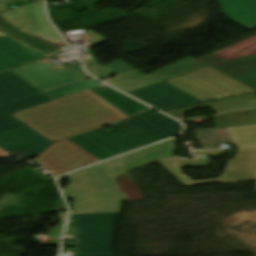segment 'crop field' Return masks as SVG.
Instances as JSON below:
<instances>
[{"label":"crop field","mask_w":256,"mask_h":256,"mask_svg":"<svg viewBox=\"0 0 256 256\" xmlns=\"http://www.w3.org/2000/svg\"><path fill=\"white\" fill-rule=\"evenodd\" d=\"M12 115L53 142L130 118L89 90Z\"/></svg>","instance_id":"8a807250"},{"label":"crop field","mask_w":256,"mask_h":256,"mask_svg":"<svg viewBox=\"0 0 256 256\" xmlns=\"http://www.w3.org/2000/svg\"><path fill=\"white\" fill-rule=\"evenodd\" d=\"M204 67L207 66L187 57L147 76L130 67L106 83L166 111L202 103L163 81Z\"/></svg>","instance_id":"ac0d7876"},{"label":"crop field","mask_w":256,"mask_h":256,"mask_svg":"<svg viewBox=\"0 0 256 256\" xmlns=\"http://www.w3.org/2000/svg\"><path fill=\"white\" fill-rule=\"evenodd\" d=\"M69 179L62 191L74 200L70 215L120 212L124 198L102 163L71 173Z\"/></svg>","instance_id":"34b2d1b8"},{"label":"crop field","mask_w":256,"mask_h":256,"mask_svg":"<svg viewBox=\"0 0 256 256\" xmlns=\"http://www.w3.org/2000/svg\"><path fill=\"white\" fill-rule=\"evenodd\" d=\"M0 30L48 55L66 46L46 20L42 0L0 13Z\"/></svg>","instance_id":"412701ff"},{"label":"crop field","mask_w":256,"mask_h":256,"mask_svg":"<svg viewBox=\"0 0 256 256\" xmlns=\"http://www.w3.org/2000/svg\"><path fill=\"white\" fill-rule=\"evenodd\" d=\"M119 215L70 216L65 236L78 239L76 253L112 252Z\"/></svg>","instance_id":"f4fd0767"},{"label":"crop field","mask_w":256,"mask_h":256,"mask_svg":"<svg viewBox=\"0 0 256 256\" xmlns=\"http://www.w3.org/2000/svg\"><path fill=\"white\" fill-rule=\"evenodd\" d=\"M166 83L200 99L216 100L243 95L255 90L207 67L168 81ZM205 102V101H204Z\"/></svg>","instance_id":"dd49c442"},{"label":"crop field","mask_w":256,"mask_h":256,"mask_svg":"<svg viewBox=\"0 0 256 256\" xmlns=\"http://www.w3.org/2000/svg\"><path fill=\"white\" fill-rule=\"evenodd\" d=\"M49 59L52 58L11 71L42 92L90 78L66 64L57 66L47 61Z\"/></svg>","instance_id":"e52e79f7"},{"label":"crop field","mask_w":256,"mask_h":256,"mask_svg":"<svg viewBox=\"0 0 256 256\" xmlns=\"http://www.w3.org/2000/svg\"><path fill=\"white\" fill-rule=\"evenodd\" d=\"M52 176L100 161L68 139L53 143L36 159Z\"/></svg>","instance_id":"d8731c3e"},{"label":"crop field","mask_w":256,"mask_h":256,"mask_svg":"<svg viewBox=\"0 0 256 256\" xmlns=\"http://www.w3.org/2000/svg\"><path fill=\"white\" fill-rule=\"evenodd\" d=\"M121 124L148 144L172 137L182 130L179 122L153 110L123 121Z\"/></svg>","instance_id":"5a996713"},{"label":"crop field","mask_w":256,"mask_h":256,"mask_svg":"<svg viewBox=\"0 0 256 256\" xmlns=\"http://www.w3.org/2000/svg\"><path fill=\"white\" fill-rule=\"evenodd\" d=\"M175 138L105 162L112 177L173 157Z\"/></svg>","instance_id":"3316defc"},{"label":"crop field","mask_w":256,"mask_h":256,"mask_svg":"<svg viewBox=\"0 0 256 256\" xmlns=\"http://www.w3.org/2000/svg\"><path fill=\"white\" fill-rule=\"evenodd\" d=\"M52 143L27 126L0 134V147L21 160L40 155Z\"/></svg>","instance_id":"28ad6ade"},{"label":"crop field","mask_w":256,"mask_h":256,"mask_svg":"<svg viewBox=\"0 0 256 256\" xmlns=\"http://www.w3.org/2000/svg\"><path fill=\"white\" fill-rule=\"evenodd\" d=\"M47 57L9 37L0 38V72Z\"/></svg>","instance_id":"d1516ede"},{"label":"crop field","mask_w":256,"mask_h":256,"mask_svg":"<svg viewBox=\"0 0 256 256\" xmlns=\"http://www.w3.org/2000/svg\"><path fill=\"white\" fill-rule=\"evenodd\" d=\"M195 153L199 154V155H204L205 158L181 161L177 156H175L173 158L160 161L158 163L160 165H162L168 172H170L175 178H177L181 183H183L186 186L222 182V180H223V178L233 160L232 158H229V160L219 178L193 181L190 178H188L182 174L181 169L184 167H187V166L207 167V154L223 153V151H208V152H195Z\"/></svg>","instance_id":"22f410ed"},{"label":"crop field","mask_w":256,"mask_h":256,"mask_svg":"<svg viewBox=\"0 0 256 256\" xmlns=\"http://www.w3.org/2000/svg\"><path fill=\"white\" fill-rule=\"evenodd\" d=\"M85 135L114 156L147 145L133 135H116L105 130L104 128L85 133Z\"/></svg>","instance_id":"cbeb9de0"},{"label":"crop field","mask_w":256,"mask_h":256,"mask_svg":"<svg viewBox=\"0 0 256 256\" xmlns=\"http://www.w3.org/2000/svg\"><path fill=\"white\" fill-rule=\"evenodd\" d=\"M87 35L89 39L82 40V42H85L86 46L85 49L88 53V55L79 56L87 70L95 77L101 79L104 78L110 74H113L115 72L119 73L129 67L127 64L122 62L121 60L115 61L109 65L101 67L98 62L93 57L90 47L95 46L97 44H100L102 42L107 41L106 39L102 38L101 36L95 34L92 31H86L85 34L77 35L78 37Z\"/></svg>","instance_id":"5142ce71"},{"label":"crop field","mask_w":256,"mask_h":256,"mask_svg":"<svg viewBox=\"0 0 256 256\" xmlns=\"http://www.w3.org/2000/svg\"><path fill=\"white\" fill-rule=\"evenodd\" d=\"M200 108H211L217 113L239 109H251L256 108V97L254 96V94L244 95L234 98L223 99L215 102H210L206 104L191 106L187 108L172 110L165 113L176 119H180L186 117V112Z\"/></svg>","instance_id":"d9b57169"},{"label":"crop field","mask_w":256,"mask_h":256,"mask_svg":"<svg viewBox=\"0 0 256 256\" xmlns=\"http://www.w3.org/2000/svg\"><path fill=\"white\" fill-rule=\"evenodd\" d=\"M229 19L250 30L256 27V0H219Z\"/></svg>","instance_id":"733c2abd"},{"label":"crop field","mask_w":256,"mask_h":256,"mask_svg":"<svg viewBox=\"0 0 256 256\" xmlns=\"http://www.w3.org/2000/svg\"><path fill=\"white\" fill-rule=\"evenodd\" d=\"M40 93L39 90L8 71L0 74V105Z\"/></svg>","instance_id":"4a817a6b"},{"label":"crop field","mask_w":256,"mask_h":256,"mask_svg":"<svg viewBox=\"0 0 256 256\" xmlns=\"http://www.w3.org/2000/svg\"><path fill=\"white\" fill-rule=\"evenodd\" d=\"M51 101L50 98L40 93L22 100H18L3 106H0V133L8 131L20 126H24L23 123L18 121L10 114Z\"/></svg>","instance_id":"bc2a9ffb"},{"label":"crop field","mask_w":256,"mask_h":256,"mask_svg":"<svg viewBox=\"0 0 256 256\" xmlns=\"http://www.w3.org/2000/svg\"><path fill=\"white\" fill-rule=\"evenodd\" d=\"M90 90L128 116L149 109V107L115 91L106 85L99 86Z\"/></svg>","instance_id":"214f88e0"},{"label":"crop field","mask_w":256,"mask_h":256,"mask_svg":"<svg viewBox=\"0 0 256 256\" xmlns=\"http://www.w3.org/2000/svg\"><path fill=\"white\" fill-rule=\"evenodd\" d=\"M256 53V36L252 37L246 41H243L239 44H236L232 47H229L223 51H220L216 54H213L211 56H208L204 59H201L199 61L205 62L209 61L212 62L208 64L209 66L213 67L218 64L231 61L237 58H241L250 54Z\"/></svg>","instance_id":"92a150f3"},{"label":"crop field","mask_w":256,"mask_h":256,"mask_svg":"<svg viewBox=\"0 0 256 256\" xmlns=\"http://www.w3.org/2000/svg\"><path fill=\"white\" fill-rule=\"evenodd\" d=\"M219 128L256 124V109L213 115Z\"/></svg>","instance_id":"dafd665d"},{"label":"crop field","mask_w":256,"mask_h":256,"mask_svg":"<svg viewBox=\"0 0 256 256\" xmlns=\"http://www.w3.org/2000/svg\"><path fill=\"white\" fill-rule=\"evenodd\" d=\"M232 77L256 69V54L213 67Z\"/></svg>","instance_id":"00972430"},{"label":"crop field","mask_w":256,"mask_h":256,"mask_svg":"<svg viewBox=\"0 0 256 256\" xmlns=\"http://www.w3.org/2000/svg\"><path fill=\"white\" fill-rule=\"evenodd\" d=\"M237 147L256 146V125L228 128Z\"/></svg>","instance_id":"a9b5d70f"},{"label":"crop field","mask_w":256,"mask_h":256,"mask_svg":"<svg viewBox=\"0 0 256 256\" xmlns=\"http://www.w3.org/2000/svg\"><path fill=\"white\" fill-rule=\"evenodd\" d=\"M97 80L90 78L88 80H84L81 82H77L65 87H61L55 90H52L50 92L45 93L47 96L51 97L52 99L56 100L61 97L77 93L83 90H87L96 86H99L100 84L96 83Z\"/></svg>","instance_id":"4177f3b9"},{"label":"crop field","mask_w":256,"mask_h":256,"mask_svg":"<svg viewBox=\"0 0 256 256\" xmlns=\"http://www.w3.org/2000/svg\"><path fill=\"white\" fill-rule=\"evenodd\" d=\"M69 139L101 160L113 157V155H111L109 152L104 150L102 147L94 143L92 140H90L83 134Z\"/></svg>","instance_id":"730fd06b"},{"label":"crop field","mask_w":256,"mask_h":256,"mask_svg":"<svg viewBox=\"0 0 256 256\" xmlns=\"http://www.w3.org/2000/svg\"><path fill=\"white\" fill-rule=\"evenodd\" d=\"M232 78L256 89V70Z\"/></svg>","instance_id":"eef30255"},{"label":"crop field","mask_w":256,"mask_h":256,"mask_svg":"<svg viewBox=\"0 0 256 256\" xmlns=\"http://www.w3.org/2000/svg\"><path fill=\"white\" fill-rule=\"evenodd\" d=\"M27 3H30V0H0V12L12 9L11 7L13 6L18 7ZM7 6L10 7L7 8Z\"/></svg>","instance_id":"ae1a2a85"},{"label":"crop field","mask_w":256,"mask_h":256,"mask_svg":"<svg viewBox=\"0 0 256 256\" xmlns=\"http://www.w3.org/2000/svg\"><path fill=\"white\" fill-rule=\"evenodd\" d=\"M73 256H112V253L73 254Z\"/></svg>","instance_id":"d3111659"},{"label":"crop field","mask_w":256,"mask_h":256,"mask_svg":"<svg viewBox=\"0 0 256 256\" xmlns=\"http://www.w3.org/2000/svg\"><path fill=\"white\" fill-rule=\"evenodd\" d=\"M9 155H7L6 153L2 152L0 150V158H4V157H8Z\"/></svg>","instance_id":"750c4746"},{"label":"crop field","mask_w":256,"mask_h":256,"mask_svg":"<svg viewBox=\"0 0 256 256\" xmlns=\"http://www.w3.org/2000/svg\"><path fill=\"white\" fill-rule=\"evenodd\" d=\"M4 35H5V34H3V33L0 32V36H4Z\"/></svg>","instance_id":"bd1437ed"}]
</instances>
